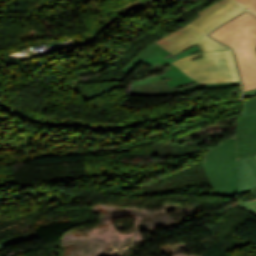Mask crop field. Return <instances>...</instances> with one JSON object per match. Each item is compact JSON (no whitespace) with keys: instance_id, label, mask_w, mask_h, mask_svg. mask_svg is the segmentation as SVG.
<instances>
[{"instance_id":"8a807250","label":"crop field","mask_w":256,"mask_h":256,"mask_svg":"<svg viewBox=\"0 0 256 256\" xmlns=\"http://www.w3.org/2000/svg\"><path fill=\"white\" fill-rule=\"evenodd\" d=\"M206 149L203 164L215 195L240 193L236 159L256 153V114L240 117L235 137Z\"/></svg>"},{"instance_id":"ac0d7876","label":"crop field","mask_w":256,"mask_h":256,"mask_svg":"<svg viewBox=\"0 0 256 256\" xmlns=\"http://www.w3.org/2000/svg\"><path fill=\"white\" fill-rule=\"evenodd\" d=\"M208 36L232 48L244 92L256 89V16L245 11Z\"/></svg>"},{"instance_id":"34b2d1b8","label":"crop field","mask_w":256,"mask_h":256,"mask_svg":"<svg viewBox=\"0 0 256 256\" xmlns=\"http://www.w3.org/2000/svg\"><path fill=\"white\" fill-rule=\"evenodd\" d=\"M172 64L199 84L239 81L230 50L190 55Z\"/></svg>"},{"instance_id":"412701ff","label":"crop field","mask_w":256,"mask_h":256,"mask_svg":"<svg viewBox=\"0 0 256 256\" xmlns=\"http://www.w3.org/2000/svg\"><path fill=\"white\" fill-rule=\"evenodd\" d=\"M154 43L173 55L195 44H197L203 52L227 49V47L205 37L188 25Z\"/></svg>"},{"instance_id":"f4fd0767","label":"crop field","mask_w":256,"mask_h":256,"mask_svg":"<svg viewBox=\"0 0 256 256\" xmlns=\"http://www.w3.org/2000/svg\"><path fill=\"white\" fill-rule=\"evenodd\" d=\"M245 9L247 7L239 0H219L199 12L201 16L188 25L205 35L215 26Z\"/></svg>"},{"instance_id":"dd49c442","label":"crop field","mask_w":256,"mask_h":256,"mask_svg":"<svg viewBox=\"0 0 256 256\" xmlns=\"http://www.w3.org/2000/svg\"><path fill=\"white\" fill-rule=\"evenodd\" d=\"M198 49L200 48L196 45L176 56H173L153 43L148 47H146L138 56H136L135 59L123 69V71L126 73H129L131 70H133L136 67V65L140 61L146 62L150 65H154L158 62L161 65L169 64L175 60H178L184 56H187L188 54Z\"/></svg>"},{"instance_id":"e52e79f7","label":"crop field","mask_w":256,"mask_h":256,"mask_svg":"<svg viewBox=\"0 0 256 256\" xmlns=\"http://www.w3.org/2000/svg\"><path fill=\"white\" fill-rule=\"evenodd\" d=\"M169 66L172 69L166 71L168 74L161 75V76H158V77H152V78L142 80V81H136V82L133 83V86L143 84V83H146V82H150V81H153V80L161 79V78L168 77V76H170L171 79H172V80L166 81L170 88H172L174 86H177V85H180V84H183V83L194 81L191 78H189L185 73H183L181 70H179L177 67H175L174 65L170 64ZM233 85H240V83L239 82H230V83H216V84H205V85H199L198 84L196 86H192V87H188V88H185V89L173 91L171 93L174 96V95H177V94H182V93H186V92H190V91H194V90H198V89H202V88H215V87L233 86Z\"/></svg>"},{"instance_id":"d8731c3e","label":"crop field","mask_w":256,"mask_h":256,"mask_svg":"<svg viewBox=\"0 0 256 256\" xmlns=\"http://www.w3.org/2000/svg\"><path fill=\"white\" fill-rule=\"evenodd\" d=\"M240 192L256 186V161L251 157L238 159Z\"/></svg>"},{"instance_id":"5a996713","label":"crop field","mask_w":256,"mask_h":256,"mask_svg":"<svg viewBox=\"0 0 256 256\" xmlns=\"http://www.w3.org/2000/svg\"><path fill=\"white\" fill-rule=\"evenodd\" d=\"M256 113V96L244 99L242 116Z\"/></svg>"},{"instance_id":"3316defc","label":"crop field","mask_w":256,"mask_h":256,"mask_svg":"<svg viewBox=\"0 0 256 256\" xmlns=\"http://www.w3.org/2000/svg\"><path fill=\"white\" fill-rule=\"evenodd\" d=\"M242 3H244L248 9H250L252 12L256 14V0H240Z\"/></svg>"},{"instance_id":"28ad6ade","label":"crop field","mask_w":256,"mask_h":256,"mask_svg":"<svg viewBox=\"0 0 256 256\" xmlns=\"http://www.w3.org/2000/svg\"><path fill=\"white\" fill-rule=\"evenodd\" d=\"M244 206L256 216V200L246 203Z\"/></svg>"},{"instance_id":"d1516ede","label":"crop field","mask_w":256,"mask_h":256,"mask_svg":"<svg viewBox=\"0 0 256 256\" xmlns=\"http://www.w3.org/2000/svg\"><path fill=\"white\" fill-rule=\"evenodd\" d=\"M253 95H256V90H253V91H249V92L244 93V98H245V97H249V96H253Z\"/></svg>"},{"instance_id":"22f410ed","label":"crop field","mask_w":256,"mask_h":256,"mask_svg":"<svg viewBox=\"0 0 256 256\" xmlns=\"http://www.w3.org/2000/svg\"><path fill=\"white\" fill-rule=\"evenodd\" d=\"M252 157L256 160V154H255V155H252Z\"/></svg>"}]
</instances>
